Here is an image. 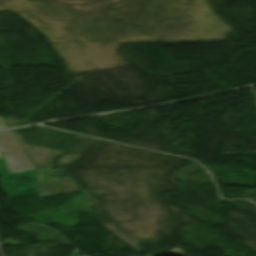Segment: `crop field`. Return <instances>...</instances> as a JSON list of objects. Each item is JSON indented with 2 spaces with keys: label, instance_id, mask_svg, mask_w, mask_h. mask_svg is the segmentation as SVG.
<instances>
[{
  "label": "crop field",
  "instance_id": "1",
  "mask_svg": "<svg viewBox=\"0 0 256 256\" xmlns=\"http://www.w3.org/2000/svg\"><path fill=\"white\" fill-rule=\"evenodd\" d=\"M0 150L6 154L5 159L12 173L34 168L10 131L0 132ZM0 156H2L1 152Z\"/></svg>",
  "mask_w": 256,
  "mask_h": 256
},
{
  "label": "crop field",
  "instance_id": "2",
  "mask_svg": "<svg viewBox=\"0 0 256 256\" xmlns=\"http://www.w3.org/2000/svg\"><path fill=\"white\" fill-rule=\"evenodd\" d=\"M4 128H6V126H5L2 118L0 117V129H4Z\"/></svg>",
  "mask_w": 256,
  "mask_h": 256
}]
</instances>
